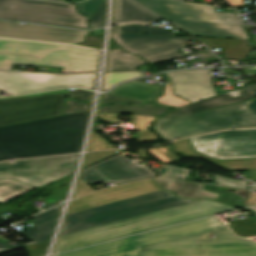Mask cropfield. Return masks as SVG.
<instances>
[{"mask_svg":"<svg viewBox=\"0 0 256 256\" xmlns=\"http://www.w3.org/2000/svg\"><path fill=\"white\" fill-rule=\"evenodd\" d=\"M88 112L0 127V161L79 152Z\"/></svg>","mask_w":256,"mask_h":256,"instance_id":"1","label":"crop field"},{"mask_svg":"<svg viewBox=\"0 0 256 256\" xmlns=\"http://www.w3.org/2000/svg\"><path fill=\"white\" fill-rule=\"evenodd\" d=\"M233 209V207L212 200H206L174 209L134 217L61 237L57 242L54 253Z\"/></svg>","mask_w":256,"mask_h":256,"instance_id":"2","label":"crop field"},{"mask_svg":"<svg viewBox=\"0 0 256 256\" xmlns=\"http://www.w3.org/2000/svg\"><path fill=\"white\" fill-rule=\"evenodd\" d=\"M136 1L194 36L249 40L236 13L215 12L212 5L176 0Z\"/></svg>","mask_w":256,"mask_h":256,"instance_id":"3","label":"crop field"},{"mask_svg":"<svg viewBox=\"0 0 256 256\" xmlns=\"http://www.w3.org/2000/svg\"><path fill=\"white\" fill-rule=\"evenodd\" d=\"M100 52L70 45L0 39V68L13 64L63 67L62 73L96 72Z\"/></svg>","mask_w":256,"mask_h":256,"instance_id":"4","label":"crop field"},{"mask_svg":"<svg viewBox=\"0 0 256 256\" xmlns=\"http://www.w3.org/2000/svg\"><path fill=\"white\" fill-rule=\"evenodd\" d=\"M175 151L232 171L256 169V130L223 131L175 141Z\"/></svg>","mask_w":256,"mask_h":256,"instance_id":"5","label":"crop field"},{"mask_svg":"<svg viewBox=\"0 0 256 256\" xmlns=\"http://www.w3.org/2000/svg\"><path fill=\"white\" fill-rule=\"evenodd\" d=\"M206 199L188 201L178 199L162 190L114 204L67 215L61 236L102 224L174 208Z\"/></svg>","mask_w":256,"mask_h":256,"instance_id":"6","label":"crop field"},{"mask_svg":"<svg viewBox=\"0 0 256 256\" xmlns=\"http://www.w3.org/2000/svg\"><path fill=\"white\" fill-rule=\"evenodd\" d=\"M252 100L178 118H158L154 128L167 141L228 128L256 127V114L247 106Z\"/></svg>","mask_w":256,"mask_h":256,"instance_id":"7","label":"crop field"},{"mask_svg":"<svg viewBox=\"0 0 256 256\" xmlns=\"http://www.w3.org/2000/svg\"><path fill=\"white\" fill-rule=\"evenodd\" d=\"M227 228L215 217L180 224L56 256H140L143 246Z\"/></svg>","mask_w":256,"mask_h":256,"instance_id":"8","label":"crop field"},{"mask_svg":"<svg viewBox=\"0 0 256 256\" xmlns=\"http://www.w3.org/2000/svg\"><path fill=\"white\" fill-rule=\"evenodd\" d=\"M143 247L141 256H256V242L234 236L229 229Z\"/></svg>","mask_w":256,"mask_h":256,"instance_id":"9","label":"crop field"},{"mask_svg":"<svg viewBox=\"0 0 256 256\" xmlns=\"http://www.w3.org/2000/svg\"><path fill=\"white\" fill-rule=\"evenodd\" d=\"M0 19L71 26L88 29L87 18L74 4L39 0H0Z\"/></svg>","mask_w":256,"mask_h":256,"instance_id":"10","label":"crop field"},{"mask_svg":"<svg viewBox=\"0 0 256 256\" xmlns=\"http://www.w3.org/2000/svg\"><path fill=\"white\" fill-rule=\"evenodd\" d=\"M78 154L48 157L31 160H18L17 164L10 161L0 163V179L13 178L18 181L41 187L74 170Z\"/></svg>","mask_w":256,"mask_h":256,"instance_id":"11","label":"crop field"},{"mask_svg":"<svg viewBox=\"0 0 256 256\" xmlns=\"http://www.w3.org/2000/svg\"><path fill=\"white\" fill-rule=\"evenodd\" d=\"M96 74L54 75L0 70V90L11 95L69 86L94 88Z\"/></svg>","mask_w":256,"mask_h":256,"instance_id":"12","label":"crop field"},{"mask_svg":"<svg viewBox=\"0 0 256 256\" xmlns=\"http://www.w3.org/2000/svg\"><path fill=\"white\" fill-rule=\"evenodd\" d=\"M67 94L0 100V126L61 115Z\"/></svg>","mask_w":256,"mask_h":256,"instance_id":"13","label":"crop field"},{"mask_svg":"<svg viewBox=\"0 0 256 256\" xmlns=\"http://www.w3.org/2000/svg\"><path fill=\"white\" fill-rule=\"evenodd\" d=\"M112 38L123 49L143 57L150 63L183 57L178 49L186 47L177 41L184 38L181 36L112 33Z\"/></svg>","mask_w":256,"mask_h":256,"instance_id":"14","label":"crop field"},{"mask_svg":"<svg viewBox=\"0 0 256 256\" xmlns=\"http://www.w3.org/2000/svg\"><path fill=\"white\" fill-rule=\"evenodd\" d=\"M157 176L144 164L138 165L133 159L129 160L123 155H117L82 170L80 178L86 183L119 184Z\"/></svg>","mask_w":256,"mask_h":256,"instance_id":"15","label":"crop field"},{"mask_svg":"<svg viewBox=\"0 0 256 256\" xmlns=\"http://www.w3.org/2000/svg\"><path fill=\"white\" fill-rule=\"evenodd\" d=\"M88 31L46 27L34 24L19 25L18 22L0 21V37L79 43Z\"/></svg>","mask_w":256,"mask_h":256,"instance_id":"16","label":"crop field"},{"mask_svg":"<svg viewBox=\"0 0 256 256\" xmlns=\"http://www.w3.org/2000/svg\"><path fill=\"white\" fill-rule=\"evenodd\" d=\"M166 75L171 77L174 94L192 103L216 95L209 69L174 71Z\"/></svg>","mask_w":256,"mask_h":256,"instance_id":"17","label":"crop field"},{"mask_svg":"<svg viewBox=\"0 0 256 256\" xmlns=\"http://www.w3.org/2000/svg\"><path fill=\"white\" fill-rule=\"evenodd\" d=\"M256 89L255 84H250L220 96L209 98L198 103L185 106L179 109L170 110L169 113L163 117L177 118L245 100L252 99Z\"/></svg>","mask_w":256,"mask_h":256,"instance_id":"18","label":"crop field"},{"mask_svg":"<svg viewBox=\"0 0 256 256\" xmlns=\"http://www.w3.org/2000/svg\"><path fill=\"white\" fill-rule=\"evenodd\" d=\"M60 206L30 217L34 219V221H32V224L36 227L30 230L23 228L26 231L21 233L33 240L34 242L22 246L9 248L0 241V253L49 240L58 218Z\"/></svg>","mask_w":256,"mask_h":256,"instance_id":"19","label":"crop field"},{"mask_svg":"<svg viewBox=\"0 0 256 256\" xmlns=\"http://www.w3.org/2000/svg\"><path fill=\"white\" fill-rule=\"evenodd\" d=\"M161 20L131 0H117L114 25L131 23L151 24Z\"/></svg>","mask_w":256,"mask_h":256,"instance_id":"20","label":"crop field"},{"mask_svg":"<svg viewBox=\"0 0 256 256\" xmlns=\"http://www.w3.org/2000/svg\"><path fill=\"white\" fill-rule=\"evenodd\" d=\"M163 88L161 85L133 80L116 86L108 94L153 102L156 96L162 94Z\"/></svg>","mask_w":256,"mask_h":256,"instance_id":"21","label":"crop field"},{"mask_svg":"<svg viewBox=\"0 0 256 256\" xmlns=\"http://www.w3.org/2000/svg\"><path fill=\"white\" fill-rule=\"evenodd\" d=\"M157 184L165 190H168L178 197H183L187 199H197V198H207V199H217L218 193L209 192L203 189L202 184L159 178L155 179Z\"/></svg>","mask_w":256,"mask_h":256,"instance_id":"22","label":"crop field"},{"mask_svg":"<svg viewBox=\"0 0 256 256\" xmlns=\"http://www.w3.org/2000/svg\"><path fill=\"white\" fill-rule=\"evenodd\" d=\"M197 38L205 43L209 48L224 47V56L222 58L245 60V58L253 49L252 47H248L249 41L203 37Z\"/></svg>","mask_w":256,"mask_h":256,"instance_id":"23","label":"crop field"},{"mask_svg":"<svg viewBox=\"0 0 256 256\" xmlns=\"http://www.w3.org/2000/svg\"><path fill=\"white\" fill-rule=\"evenodd\" d=\"M110 50L106 71L135 70L133 69L135 66L147 63L140 57L131 55L115 46L112 39Z\"/></svg>","mask_w":256,"mask_h":256,"instance_id":"24","label":"crop field"},{"mask_svg":"<svg viewBox=\"0 0 256 256\" xmlns=\"http://www.w3.org/2000/svg\"><path fill=\"white\" fill-rule=\"evenodd\" d=\"M166 110V107H156L155 103L144 106H128L126 104H114L111 106L102 105L99 112L113 114H134L138 116H157L164 114Z\"/></svg>","mask_w":256,"mask_h":256,"instance_id":"25","label":"crop field"},{"mask_svg":"<svg viewBox=\"0 0 256 256\" xmlns=\"http://www.w3.org/2000/svg\"><path fill=\"white\" fill-rule=\"evenodd\" d=\"M34 188L13 179L0 181V203Z\"/></svg>","mask_w":256,"mask_h":256,"instance_id":"26","label":"crop field"},{"mask_svg":"<svg viewBox=\"0 0 256 256\" xmlns=\"http://www.w3.org/2000/svg\"><path fill=\"white\" fill-rule=\"evenodd\" d=\"M132 120L129 122L135 129L139 130V134L136 137L141 142L151 141L157 139L154 133L148 131L151 122L155 117H138L131 115L129 116Z\"/></svg>","mask_w":256,"mask_h":256,"instance_id":"27","label":"crop field"},{"mask_svg":"<svg viewBox=\"0 0 256 256\" xmlns=\"http://www.w3.org/2000/svg\"><path fill=\"white\" fill-rule=\"evenodd\" d=\"M229 226L238 236H256V221L250 218L230 222Z\"/></svg>","mask_w":256,"mask_h":256,"instance_id":"28","label":"crop field"},{"mask_svg":"<svg viewBox=\"0 0 256 256\" xmlns=\"http://www.w3.org/2000/svg\"><path fill=\"white\" fill-rule=\"evenodd\" d=\"M140 76H144V75H142L139 72L106 73L104 83H103V91L110 89L118 82L140 77Z\"/></svg>","mask_w":256,"mask_h":256,"instance_id":"29","label":"crop field"},{"mask_svg":"<svg viewBox=\"0 0 256 256\" xmlns=\"http://www.w3.org/2000/svg\"><path fill=\"white\" fill-rule=\"evenodd\" d=\"M117 32H133L143 34H167L174 35V33L154 27L141 26V25H130L117 28Z\"/></svg>","mask_w":256,"mask_h":256,"instance_id":"30","label":"crop field"},{"mask_svg":"<svg viewBox=\"0 0 256 256\" xmlns=\"http://www.w3.org/2000/svg\"><path fill=\"white\" fill-rule=\"evenodd\" d=\"M170 147L171 145H166V146L150 148L147 150L156 158H158L161 162L172 163L175 160H177L178 157L177 155L173 154L170 151Z\"/></svg>","mask_w":256,"mask_h":256,"instance_id":"31","label":"crop field"},{"mask_svg":"<svg viewBox=\"0 0 256 256\" xmlns=\"http://www.w3.org/2000/svg\"><path fill=\"white\" fill-rule=\"evenodd\" d=\"M158 103L160 104H166V105H172V106H177V107H182L188 104H191L189 102H186L172 94L171 87H170V82L168 81L165 95L162 97H159L157 99Z\"/></svg>","mask_w":256,"mask_h":256,"instance_id":"32","label":"crop field"},{"mask_svg":"<svg viewBox=\"0 0 256 256\" xmlns=\"http://www.w3.org/2000/svg\"><path fill=\"white\" fill-rule=\"evenodd\" d=\"M213 177H214L215 185H223V186H229V187L249 190L248 185L250 182L241 181V180H233L230 178L221 177V176H217L214 174H213Z\"/></svg>","mask_w":256,"mask_h":256,"instance_id":"33","label":"crop field"},{"mask_svg":"<svg viewBox=\"0 0 256 256\" xmlns=\"http://www.w3.org/2000/svg\"><path fill=\"white\" fill-rule=\"evenodd\" d=\"M106 9V0H103L95 13L90 18V29L101 28L104 25V15Z\"/></svg>","mask_w":256,"mask_h":256,"instance_id":"34","label":"crop field"},{"mask_svg":"<svg viewBox=\"0 0 256 256\" xmlns=\"http://www.w3.org/2000/svg\"><path fill=\"white\" fill-rule=\"evenodd\" d=\"M108 148H114V147L109 145L103 138L97 136L94 132H92L91 138L89 141L88 150L94 151V150H102V149H108Z\"/></svg>","mask_w":256,"mask_h":256,"instance_id":"35","label":"crop field"},{"mask_svg":"<svg viewBox=\"0 0 256 256\" xmlns=\"http://www.w3.org/2000/svg\"><path fill=\"white\" fill-rule=\"evenodd\" d=\"M190 172L191 169L177 168L167 165L163 175L167 177L186 179Z\"/></svg>","mask_w":256,"mask_h":256,"instance_id":"36","label":"crop field"},{"mask_svg":"<svg viewBox=\"0 0 256 256\" xmlns=\"http://www.w3.org/2000/svg\"><path fill=\"white\" fill-rule=\"evenodd\" d=\"M80 111H88L87 103H77L72 100H67L63 115Z\"/></svg>","mask_w":256,"mask_h":256,"instance_id":"37","label":"crop field"},{"mask_svg":"<svg viewBox=\"0 0 256 256\" xmlns=\"http://www.w3.org/2000/svg\"><path fill=\"white\" fill-rule=\"evenodd\" d=\"M102 0H89L85 3L79 4V11L89 17L94 13Z\"/></svg>","mask_w":256,"mask_h":256,"instance_id":"38","label":"crop field"},{"mask_svg":"<svg viewBox=\"0 0 256 256\" xmlns=\"http://www.w3.org/2000/svg\"><path fill=\"white\" fill-rule=\"evenodd\" d=\"M118 151H122V150H110V151H103V152H96V153H87L84 167Z\"/></svg>","mask_w":256,"mask_h":256,"instance_id":"39","label":"crop field"},{"mask_svg":"<svg viewBox=\"0 0 256 256\" xmlns=\"http://www.w3.org/2000/svg\"><path fill=\"white\" fill-rule=\"evenodd\" d=\"M115 102H125L127 104H132V105L145 103L143 101H137V100H132V99H127V98L116 97V96L104 94L102 104H111V103H115Z\"/></svg>","mask_w":256,"mask_h":256,"instance_id":"40","label":"crop field"},{"mask_svg":"<svg viewBox=\"0 0 256 256\" xmlns=\"http://www.w3.org/2000/svg\"><path fill=\"white\" fill-rule=\"evenodd\" d=\"M71 98L77 101H84V100H89L91 99L92 92L82 90V89H77L73 91H69Z\"/></svg>","mask_w":256,"mask_h":256,"instance_id":"41","label":"crop field"},{"mask_svg":"<svg viewBox=\"0 0 256 256\" xmlns=\"http://www.w3.org/2000/svg\"><path fill=\"white\" fill-rule=\"evenodd\" d=\"M48 242L28 246L26 249L29 251L30 256H40L45 252Z\"/></svg>","mask_w":256,"mask_h":256,"instance_id":"42","label":"crop field"},{"mask_svg":"<svg viewBox=\"0 0 256 256\" xmlns=\"http://www.w3.org/2000/svg\"><path fill=\"white\" fill-rule=\"evenodd\" d=\"M77 45H82V46H87V47L100 49L101 38L94 37V36H91V35H87L86 42L80 43V44H77Z\"/></svg>","mask_w":256,"mask_h":256,"instance_id":"43","label":"crop field"},{"mask_svg":"<svg viewBox=\"0 0 256 256\" xmlns=\"http://www.w3.org/2000/svg\"><path fill=\"white\" fill-rule=\"evenodd\" d=\"M94 191V189H92L90 186H88L84 181H82L81 179H79V183H78V187H77V192H76V197H80L82 195H85L87 193H90Z\"/></svg>","mask_w":256,"mask_h":256,"instance_id":"44","label":"crop field"},{"mask_svg":"<svg viewBox=\"0 0 256 256\" xmlns=\"http://www.w3.org/2000/svg\"><path fill=\"white\" fill-rule=\"evenodd\" d=\"M98 117L106 122L117 123L119 115L99 113Z\"/></svg>","mask_w":256,"mask_h":256,"instance_id":"45","label":"crop field"},{"mask_svg":"<svg viewBox=\"0 0 256 256\" xmlns=\"http://www.w3.org/2000/svg\"><path fill=\"white\" fill-rule=\"evenodd\" d=\"M253 204H256V193L250 192L246 206L253 205Z\"/></svg>","mask_w":256,"mask_h":256,"instance_id":"46","label":"crop field"},{"mask_svg":"<svg viewBox=\"0 0 256 256\" xmlns=\"http://www.w3.org/2000/svg\"><path fill=\"white\" fill-rule=\"evenodd\" d=\"M67 92H68V89H65V90L50 91V92H44L39 94L27 95V96L42 95L46 93H67ZM20 97H26V96H20ZM0 99H4V98H0Z\"/></svg>","mask_w":256,"mask_h":256,"instance_id":"47","label":"crop field"},{"mask_svg":"<svg viewBox=\"0 0 256 256\" xmlns=\"http://www.w3.org/2000/svg\"><path fill=\"white\" fill-rule=\"evenodd\" d=\"M249 192L246 191H242V190H236V194L240 195L242 198H244V203L243 205H245V202L247 200V196H248Z\"/></svg>","mask_w":256,"mask_h":256,"instance_id":"48","label":"crop field"},{"mask_svg":"<svg viewBox=\"0 0 256 256\" xmlns=\"http://www.w3.org/2000/svg\"><path fill=\"white\" fill-rule=\"evenodd\" d=\"M250 110L256 113V99H254L248 107Z\"/></svg>","mask_w":256,"mask_h":256,"instance_id":"49","label":"crop field"},{"mask_svg":"<svg viewBox=\"0 0 256 256\" xmlns=\"http://www.w3.org/2000/svg\"><path fill=\"white\" fill-rule=\"evenodd\" d=\"M248 174H249L251 180L256 181V171L255 170L248 171Z\"/></svg>","mask_w":256,"mask_h":256,"instance_id":"50","label":"crop field"},{"mask_svg":"<svg viewBox=\"0 0 256 256\" xmlns=\"http://www.w3.org/2000/svg\"><path fill=\"white\" fill-rule=\"evenodd\" d=\"M138 152H139L140 158L149 159L146 152H145V149L139 150Z\"/></svg>","mask_w":256,"mask_h":256,"instance_id":"51","label":"crop field"},{"mask_svg":"<svg viewBox=\"0 0 256 256\" xmlns=\"http://www.w3.org/2000/svg\"><path fill=\"white\" fill-rule=\"evenodd\" d=\"M92 33L96 36L102 37L103 30H95V31H92Z\"/></svg>","mask_w":256,"mask_h":256,"instance_id":"52","label":"crop field"},{"mask_svg":"<svg viewBox=\"0 0 256 256\" xmlns=\"http://www.w3.org/2000/svg\"><path fill=\"white\" fill-rule=\"evenodd\" d=\"M59 202H60V201H57V202H55V203H53V204H50V205H48V206H46V207H43L42 209H43V210H46V209H48V208H50V207H52V206H54V205L59 204Z\"/></svg>","mask_w":256,"mask_h":256,"instance_id":"53","label":"crop field"},{"mask_svg":"<svg viewBox=\"0 0 256 256\" xmlns=\"http://www.w3.org/2000/svg\"><path fill=\"white\" fill-rule=\"evenodd\" d=\"M190 40H193V38H192V37H186V38H184V39H181L180 41H182L183 43H185V42H188V41H190Z\"/></svg>","mask_w":256,"mask_h":256,"instance_id":"54","label":"crop field"},{"mask_svg":"<svg viewBox=\"0 0 256 256\" xmlns=\"http://www.w3.org/2000/svg\"><path fill=\"white\" fill-rule=\"evenodd\" d=\"M121 154H127V155H130V156H133V157H136L137 158V156H136V153H133V154H131L130 152H123V153H121Z\"/></svg>","mask_w":256,"mask_h":256,"instance_id":"55","label":"crop field"},{"mask_svg":"<svg viewBox=\"0 0 256 256\" xmlns=\"http://www.w3.org/2000/svg\"><path fill=\"white\" fill-rule=\"evenodd\" d=\"M227 81H228L229 84L233 85L234 88H236L231 78H230V79H227Z\"/></svg>","mask_w":256,"mask_h":256,"instance_id":"56","label":"crop field"},{"mask_svg":"<svg viewBox=\"0 0 256 256\" xmlns=\"http://www.w3.org/2000/svg\"><path fill=\"white\" fill-rule=\"evenodd\" d=\"M251 187H252L253 191L256 192V183H252Z\"/></svg>","mask_w":256,"mask_h":256,"instance_id":"57","label":"crop field"},{"mask_svg":"<svg viewBox=\"0 0 256 256\" xmlns=\"http://www.w3.org/2000/svg\"><path fill=\"white\" fill-rule=\"evenodd\" d=\"M212 60H218L217 58H207L205 61H212Z\"/></svg>","mask_w":256,"mask_h":256,"instance_id":"58","label":"crop field"},{"mask_svg":"<svg viewBox=\"0 0 256 256\" xmlns=\"http://www.w3.org/2000/svg\"><path fill=\"white\" fill-rule=\"evenodd\" d=\"M216 90H217L218 94L223 92L222 88H219V89H216Z\"/></svg>","mask_w":256,"mask_h":256,"instance_id":"59","label":"crop field"},{"mask_svg":"<svg viewBox=\"0 0 256 256\" xmlns=\"http://www.w3.org/2000/svg\"><path fill=\"white\" fill-rule=\"evenodd\" d=\"M250 210H253V211H255V212H256V207H254V208H250Z\"/></svg>","mask_w":256,"mask_h":256,"instance_id":"60","label":"crop field"},{"mask_svg":"<svg viewBox=\"0 0 256 256\" xmlns=\"http://www.w3.org/2000/svg\"><path fill=\"white\" fill-rule=\"evenodd\" d=\"M74 1L79 2V1H82V0H74Z\"/></svg>","mask_w":256,"mask_h":256,"instance_id":"61","label":"crop field"},{"mask_svg":"<svg viewBox=\"0 0 256 256\" xmlns=\"http://www.w3.org/2000/svg\"><path fill=\"white\" fill-rule=\"evenodd\" d=\"M59 1H64V0H59Z\"/></svg>","mask_w":256,"mask_h":256,"instance_id":"62","label":"crop field"}]
</instances>
